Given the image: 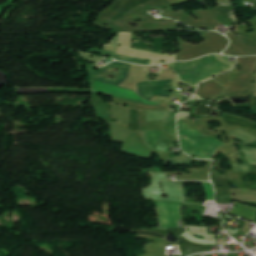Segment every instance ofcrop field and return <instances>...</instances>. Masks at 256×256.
Instances as JSON below:
<instances>
[{
	"instance_id": "crop-field-7",
	"label": "crop field",
	"mask_w": 256,
	"mask_h": 256,
	"mask_svg": "<svg viewBox=\"0 0 256 256\" xmlns=\"http://www.w3.org/2000/svg\"><path fill=\"white\" fill-rule=\"evenodd\" d=\"M114 65H115V62H113L97 71L95 69V66H87L90 86L93 87L94 80L104 78L101 75L114 69ZM116 68L120 69V71H119L118 76L115 81L110 80L108 78L100 79L98 81H102V82H106V83L118 86L120 82L126 80V76H128L129 64L116 62Z\"/></svg>"
},
{
	"instance_id": "crop-field-17",
	"label": "crop field",
	"mask_w": 256,
	"mask_h": 256,
	"mask_svg": "<svg viewBox=\"0 0 256 256\" xmlns=\"http://www.w3.org/2000/svg\"><path fill=\"white\" fill-rule=\"evenodd\" d=\"M117 60L149 65L150 60L117 55Z\"/></svg>"
},
{
	"instance_id": "crop-field-12",
	"label": "crop field",
	"mask_w": 256,
	"mask_h": 256,
	"mask_svg": "<svg viewBox=\"0 0 256 256\" xmlns=\"http://www.w3.org/2000/svg\"><path fill=\"white\" fill-rule=\"evenodd\" d=\"M165 163H173L175 165H182V164H191L195 161H201V162H209L212 160H198V159H194L192 157H189L187 155H185L184 153H181L180 156L173 158V159H169V160H164Z\"/></svg>"
},
{
	"instance_id": "crop-field-14",
	"label": "crop field",
	"mask_w": 256,
	"mask_h": 256,
	"mask_svg": "<svg viewBox=\"0 0 256 256\" xmlns=\"http://www.w3.org/2000/svg\"><path fill=\"white\" fill-rule=\"evenodd\" d=\"M175 118H176V112L170 111L166 121L173 120ZM164 130L166 132H168L169 134L178 138V135H177V132H176V121L166 123L165 126H164Z\"/></svg>"
},
{
	"instance_id": "crop-field-8",
	"label": "crop field",
	"mask_w": 256,
	"mask_h": 256,
	"mask_svg": "<svg viewBox=\"0 0 256 256\" xmlns=\"http://www.w3.org/2000/svg\"><path fill=\"white\" fill-rule=\"evenodd\" d=\"M171 80L139 83V96L151 101L155 95L169 97Z\"/></svg>"
},
{
	"instance_id": "crop-field-15",
	"label": "crop field",
	"mask_w": 256,
	"mask_h": 256,
	"mask_svg": "<svg viewBox=\"0 0 256 256\" xmlns=\"http://www.w3.org/2000/svg\"><path fill=\"white\" fill-rule=\"evenodd\" d=\"M231 135L239 138L240 140L248 143L250 141L256 140V137L252 136L251 134L241 130L240 128L230 132Z\"/></svg>"
},
{
	"instance_id": "crop-field-4",
	"label": "crop field",
	"mask_w": 256,
	"mask_h": 256,
	"mask_svg": "<svg viewBox=\"0 0 256 256\" xmlns=\"http://www.w3.org/2000/svg\"><path fill=\"white\" fill-rule=\"evenodd\" d=\"M176 29H185V28H176ZM190 30V29H186ZM199 31V30H193ZM203 32V31H199ZM206 32H203V34ZM205 38V42L199 45H192L185 43L180 37V43L182 45V51L179 52L177 56V60H190L194 58H198L200 56L210 54V53H222L224 49L229 44V40L218 34L217 32H209L207 34L202 35ZM203 38V39H204Z\"/></svg>"
},
{
	"instance_id": "crop-field-22",
	"label": "crop field",
	"mask_w": 256,
	"mask_h": 256,
	"mask_svg": "<svg viewBox=\"0 0 256 256\" xmlns=\"http://www.w3.org/2000/svg\"><path fill=\"white\" fill-rule=\"evenodd\" d=\"M228 16L231 18V20H232L233 22L239 21L238 18H237L236 13H235L234 11H232Z\"/></svg>"
},
{
	"instance_id": "crop-field-20",
	"label": "crop field",
	"mask_w": 256,
	"mask_h": 256,
	"mask_svg": "<svg viewBox=\"0 0 256 256\" xmlns=\"http://www.w3.org/2000/svg\"><path fill=\"white\" fill-rule=\"evenodd\" d=\"M92 53H98V54H105V55H109L112 58L116 59V54L109 52V51H105V50H97V49H92L91 51Z\"/></svg>"
},
{
	"instance_id": "crop-field-9",
	"label": "crop field",
	"mask_w": 256,
	"mask_h": 256,
	"mask_svg": "<svg viewBox=\"0 0 256 256\" xmlns=\"http://www.w3.org/2000/svg\"><path fill=\"white\" fill-rule=\"evenodd\" d=\"M194 14L197 16L199 20L195 21L192 18L188 17L186 20L183 21V23L196 28H206L209 30H213L214 27L219 22L214 18L213 12L209 10H199L194 12Z\"/></svg>"
},
{
	"instance_id": "crop-field-21",
	"label": "crop field",
	"mask_w": 256,
	"mask_h": 256,
	"mask_svg": "<svg viewBox=\"0 0 256 256\" xmlns=\"http://www.w3.org/2000/svg\"><path fill=\"white\" fill-rule=\"evenodd\" d=\"M231 164L233 165V170L247 171L249 167V165L245 164Z\"/></svg>"
},
{
	"instance_id": "crop-field-19",
	"label": "crop field",
	"mask_w": 256,
	"mask_h": 256,
	"mask_svg": "<svg viewBox=\"0 0 256 256\" xmlns=\"http://www.w3.org/2000/svg\"><path fill=\"white\" fill-rule=\"evenodd\" d=\"M250 23H251V25H253L254 27L248 29V26H249V25H245V26L238 27V29L241 30L242 33L245 32V31L247 32V31H249V30H251V29H254L255 32H253L252 34H254V35L256 36V18L253 19L252 21H250Z\"/></svg>"
},
{
	"instance_id": "crop-field-23",
	"label": "crop field",
	"mask_w": 256,
	"mask_h": 256,
	"mask_svg": "<svg viewBox=\"0 0 256 256\" xmlns=\"http://www.w3.org/2000/svg\"><path fill=\"white\" fill-rule=\"evenodd\" d=\"M220 4L233 6V5H234V2H224V3H220Z\"/></svg>"
},
{
	"instance_id": "crop-field-10",
	"label": "crop field",
	"mask_w": 256,
	"mask_h": 256,
	"mask_svg": "<svg viewBox=\"0 0 256 256\" xmlns=\"http://www.w3.org/2000/svg\"><path fill=\"white\" fill-rule=\"evenodd\" d=\"M211 179L216 188V196H231L229 180L226 174H219L217 169H212Z\"/></svg>"
},
{
	"instance_id": "crop-field-1",
	"label": "crop field",
	"mask_w": 256,
	"mask_h": 256,
	"mask_svg": "<svg viewBox=\"0 0 256 256\" xmlns=\"http://www.w3.org/2000/svg\"><path fill=\"white\" fill-rule=\"evenodd\" d=\"M169 5L166 0H120L100 13L99 20L95 24L107 27L118 32L134 31H165L175 29L179 22L170 23L165 18L156 19L148 14L146 10L157 6ZM134 20H145L136 23L138 26L132 27L129 24ZM105 27V26H104Z\"/></svg>"
},
{
	"instance_id": "crop-field-3",
	"label": "crop field",
	"mask_w": 256,
	"mask_h": 256,
	"mask_svg": "<svg viewBox=\"0 0 256 256\" xmlns=\"http://www.w3.org/2000/svg\"><path fill=\"white\" fill-rule=\"evenodd\" d=\"M178 131L182 150L190 155H200L198 158H212L214 151L224 143L201 135L194 129H187L183 120L178 121ZM205 153H210L206 156Z\"/></svg>"
},
{
	"instance_id": "crop-field-6",
	"label": "crop field",
	"mask_w": 256,
	"mask_h": 256,
	"mask_svg": "<svg viewBox=\"0 0 256 256\" xmlns=\"http://www.w3.org/2000/svg\"><path fill=\"white\" fill-rule=\"evenodd\" d=\"M159 227H183L180 203L157 201Z\"/></svg>"
},
{
	"instance_id": "crop-field-18",
	"label": "crop field",
	"mask_w": 256,
	"mask_h": 256,
	"mask_svg": "<svg viewBox=\"0 0 256 256\" xmlns=\"http://www.w3.org/2000/svg\"><path fill=\"white\" fill-rule=\"evenodd\" d=\"M249 164H256V151L253 150H243Z\"/></svg>"
},
{
	"instance_id": "crop-field-11",
	"label": "crop field",
	"mask_w": 256,
	"mask_h": 256,
	"mask_svg": "<svg viewBox=\"0 0 256 256\" xmlns=\"http://www.w3.org/2000/svg\"><path fill=\"white\" fill-rule=\"evenodd\" d=\"M162 131H141L142 138L146 145L154 149Z\"/></svg>"
},
{
	"instance_id": "crop-field-5",
	"label": "crop field",
	"mask_w": 256,
	"mask_h": 256,
	"mask_svg": "<svg viewBox=\"0 0 256 256\" xmlns=\"http://www.w3.org/2000/svg\"><path fill=\"white\" fill-rule=\"evenodd\" d=\"M152 177V185L144 189L146 199H158L166 201L184 202L183 185L169 182L165 172L150 173ZM162 183V185H159ZM163 186V188H160ZM163 190V192H161ZM162 194L169 195V198H163Z\"/></svg>"
},
{
	"instance_id": "crop-field-16",
	"label": "crop field",
	"mask_w": 256,
	"mask_h": 256,
	"mask_svg": "<svg viewBox=\"0 0 256 256\" xmlns=\"http://www.w3.org/2000/svg\"><path fill=\"white\" fill-rule=\"evenodd\" d=\"M147 112V121H164L169 111H146Z\"/></svg>"
},
{
	"instance_id": "crop-field-13",
	"label": "crop field",
	"mask_w": 256,
	"mask_h": 256,
	"mask_svg": "<svg viewBox=\"0 0 256 256\" xmlns=\"http://www.w3.org/2000/svg\"><path fill=\"white\" fill-rule=\"evenodd\" d=\"M174 9L175 8H173L171 6H167V8H166L165 12L162 14V16L172 18V19H175L180 22L188 16L187 12L180 11L178 13H175V12H173Z\"/></svg>"
},
{
	"instance_id": "crop-field-2",
	"label": "crop field",
	"mask_w": 256,
	"mask_h": 256,
	"mask_svg": "<svg viewBox=\"0 0 256 256\" xmlns=\"http://www.w3.org/2000/svg\"><path fill=\"white\" fill-rule=\"evenodd\" d=\"M228 67L210 55L190 62H176L174 71L181 80L195 85Z\"/></svg>"
}]
</instances>
